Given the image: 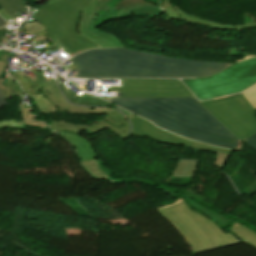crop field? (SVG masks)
<instances>
[{
  "label": "crop field",
  "mask_w": 256,
  "mask_h": 256,
  "mask_svg": "<svg viewBox=\"0 0 256 256\" xmlns=\"http://www.w3.org/2000/svg\"><path fill=\"white\" fill-rule=\"evenodd\" d=\"M80 71L79 78H189L218 72L230 63L183 60L133 49L86 51L69 59Z\"/></svg>",
  "instance_id": "1"
},
{
  "label": "crop field",
  "mask_w": 256,
  "mask_h": 256,
  "mask_svg": "<svg viewBox=\"0 0 256 256\" xmlns=\"http://www.w3.org/2000/svg\"><path fill=\"white\" fill-rule=\"evenodd\" d=\"M182 137L240 149L239 140L195 98H103Z\"/></svg>",
  "instance_id": "2"
},
{
  "label": "crop field",
  "mask_w": 256,
  "mask_h": 256,
  "mask_svg": "<svg viewBox=\"0 0 256 256\" xmlns=\"http://www.w3.org/2000/svg\"><path fill=\"white\" fill-rule=\"evenodd\" d=\"M109 0H49L33 20L47 30V39L74 56L86 49L124 47L113 35L100 32L94 22Z\"/></svg>",
  "instance_id": "3"
},
{
  "label": "crop field",
  "mask_w": 256,
  "mask_h": 256,
  "mask_svg": "<svg viewBox=\"0 0 256 256\" xmlns=\"http://www.w3.org/2000/svg\"><path fill=\"white\" fill-rule=\"evenodd\" d=\"M183 234L195 253L241 243L230 233L224 235L219 227L204 215L192 210L182 198L158 208Z\"/></svg>",
  "instance_id": "4"
},
{
  "label": "crop field",
  "mask_w": 256,
  "mask_h": 256,
  "mask_svg": "<svg viewBox=\"0 0 256 256\" xmlns=\"http://www.w3.org/2000/svg\"><path fill=\"white\" fill-rule=\"evenodd\" d=\"M182 81L200 100L242 92L256 83V57L209 77Z\"/></svg>",
  "instance_id": "5"
},
{
  "label": "crop field",
  "mask_w": 256,
  "mask_h": 256,
  "mask_svg": "<svg viewBox=\"0 0 256 256\" xmlns=\"http://www.w3.org/2000/svg\"><path fill=\"white\" fill-rule=\"evenodd\" d=\"M61 88L66 98L72 103L84 104V105H96V106L111 105L101 99H95L93 97L87 96L85 93L81 98H79L78 101L73 100L70 97L72 93L66 90L64 86H62ZM120 110L132 121L133 123L132 133L142 138L147 136L161 143H166L170 145H185L187 147L196 148L204 151L216 152L213 164L221 168H223L225 162L227 161V159L232 153V151L227 149L218 148V147L205 145V144H199V143H195V142L180 138L172 133H169L167 131H164L160 128L155 127L152 123L136 115L130 114L122 109Z\"/></svg>",
  "instance_id": "6"
},
{
  "label": "crop field",
  "mask_w": 256,
  "mask_h": 256,
  "mask_svg": "<svg viewBox=\"0 0 256 256\" xmlns=\"http://www.w3.org/2000/svg\"><path fill=\"white\" fill-rule=\"evenodd\" d=\"M200 103L239 140L256 133L255 110L241 93Z\"/></svg>",
  "instance_id": "7"
},
{
  "label": "crop field",
  "mask_w": 256,
  "mask_h": 256,
  "mask_svg": "<svg viewBox=\"0 0 256 256\" xmlns=\"http://www.w3.org/2000/svg\"><path fill=\"white\" fill-rule=\"evenodd\" d=\"M31 70L37 76L38 81L44 87L43 89H41L42 93L53 105H56L61 109L69 110V113L72 114H109L97 123L89 125L85 129V131L93 135L105 128H110L121 139L126 138L128 136L129 122L117 110L103 108H83L72 106L67 101H65L61 96L56 83H54L55 79H52L50 77L47 78L45 75L36 72L32 68Z\"/></svg>",
  "instance_id": "8"
},
{
  "label": "crop field",
  "mask_w": 256,
  "mask_h": 256,
  "mask_svg": "<svg viewBox=\"0 0 256 256\" xmlns=\"http://www.w3.org/2000/svg\"><path fill=\"white\" fill-rule=\"evenodd\" d=\"M114 181H121V182H139L144 183L150 186L157 187L161 190H164L165 193H168L174 197H183L187 203L191 206L192 209L204 214L208 218H210L214 223H216L218 226L225 224L227 221L232 222L229 226L230 233H232L234 236H236L238 239L243 241L244 243L256 248V233L252 230L245 228L243 225L232 221L231 219L227 218L226 216H223L222 213L212 207V205H209L205 203V200L199 196H196L194 194H191L189 192L173 189L170 187H167L165 185H160L158 183H154L151 181L146 180H140L136 178H129V179H112Z\"/></svg>",
  "instance_id": "9"
},
{
  "label": "crop field",
  "mask_w": 256,
  "mask_h": 256,
  "mask_svg": "<svg viewBox=\"0 0 256 256\" xmlns=\"http://www.w3.org/2000/svg\"><path fill=\"white\" fill-rule=\"evenodd\" d=\"M124 86L107 90L123 97H194L179 80L123 79Z\"/></svg>",
  "instance_id": "10"
},
{
  "label": "crop field",
  "mask_w": 256,
  "mask_h": 256,
  "mask_svg": "<svg viewBox=\"0 0 256 256\" xmlns=\"http://www.w3.org/2000/svg\"><path fill=\"white\" fill-rule=\"evenodd\" d=\"M0 89L4 94L6 100L13 96H20L23 92L20 90L16 82L11 80L8 75L6 79H0ZM21 104L18 107L19 114L24 118L23 121L15 120H4L0 121V129H17V130H27L28 127L42 129L47 125L36 119L33 116V108L24 109L22 99L20 97Z\"/></svg>",
  "instance_id": "11"
},
{
  "label": "crop field",
  "mask_w": 256,
  "mask_h": 256,
  "mask_svg": "<svg viewBox=\"0 0 256 256\" xmlns=\"http://www.w3.org/2000/svg\"><path fill=\"white\" fill-rule=\"evenodd\" d=\"M50 128L57 135H61L69 141L76 149L79 161L97 159V155L92 145L78 134L88 125L71 124L64 122L51 121Z\"/></svg>",
  "instance_id": "12"
},
{
  "label": "crop field",
  "mask_w": 256,
  "mask_h": 256,
  "mask_svg": "<svg viewBox=\"0 0 256 256\" xmlns=\"http://www.w3.org/2000/svg\"><path fill=\"white\" fill-rule=\"evenodd\" d=\"M11 76L21 84L25 93L33 99L40 112L46 114L54 112H67L65 110H61L53 106L45 98V96L39 90L40 88H42V86L37 81L36 77L32 78L31 76L25 75L23 72H15Z\"/></svg>",
  "instance_id": "13"
},
{
  "label": "crop field",
  "mask_w": 256,
  "mask_h": 256,
  "mask_svg": "<svg viewBox=\"0 0 256 256\" xmlns=\"http://www.w3.org/2000/svg\"><path fill=\"white\" fill-rule=\"evenodd\" d=\"M163 10L169 16V18L179 21L189 22L195 25L207 26L211 29L225 30V31H235V30H247L256 28V23H251L249 25H240V26H229L224 24L215 23L208 20L199 19L197 17L190 16L181 10L175 8L171 5L170 0H164L162 5Z\"/></svg>",
  "instance_id": "14"
},
{
  "label": "crop field",
  "mask_w": 256,
  "mask_h": 256,
  "mask_svg": "<svg viewBox=\"0 0 256 256\" xmlns=\"http://www.w3.org/2000/svg\"><path fill=\"white\" fill-rule=\"evenodd\" d=\"M114 9L122 10L115 18H120L128 14H146L158 16L163 13L160 7L149 4L144 0H122L114 7Z\"/></svg>",
  "instance_id": "15"
},
{
  "label": "crop field",
  "mask_w": 256,
  "mask_h": 256,
  "mask_svg": "<svg viewBox=\"0 0 256 256\" xmlns=\"http://www.w3.org/2000/svg\"><path fill=\"white\" fill-rule=\"evenodd\" d=\"M198 162L179 161L171 177H193Z\"/></svg>",
  "instance_id": "16"
},
{
  "label": "crop field",
  "mask_w": 256,
  "mask_h": 256,
  "mask_svg": "<svg viewBox=\"0 0 256 256\" xmlns=\"http://www.w3.org/2000/svg\"><path fill=\"white\" fill-rule=\"evenodd\" d=\"M0 5L11 17H13L16 12H27L24 0H0Z\"/></svg>",
  "instance_id": "17"
},
{
  "label": "crop field",
  "mask_w": 256,
  "mask_h": 256,
  "mask_svg": "<svg viewBox=\"0 0 256 256\" xmlns=\"http://www.w3.org/2000/svg\"><path fill=\"white\" fill-rule=\"evenodd\" d=\"M81 165L93 176L99 179H112L104 171H101V167L98 165L97 160L80 162Z\"/></svg>",
  "instance_id": "18"
},
{
  "label": "crop field",
  "mask_w": 256,
  "mask_h": 256,
  "mask_svg": "<svg viewBox=\"0 0 256 256\" xmlns=\"http://www.w3.org/2000/svg\"><path fill=\"white\" fill-rule=\"evenodd\" d=\"M256 110V85L242 93Z\"/></svg>",
  "instance_id": "19"
},
{
  "label": "crop field",
  "mask_w": 256,
  "mask_h": 256,
  "mask_svg": "<svg viewBox=\"0 0 256 256\" xmlns=\"http://www.w3.org/2000/svg\"><path fill=\"white\" fill-rule=\"evenodd\" d=\"M25 26H26V35H31V34L45 31L43 26L36 22L26 24Z\"/></svg>",
  "instance_id": "20"
},
{
  "label": "crop field",
  "mask_w": 256,
  "mask_h": 256,
  "mask_svg": "<svg viewBox=\"0 0 256 256\" xmlns=\"http://www.w3.org/2000/svg\"><path fill=\"white\" fill-rule=\"evenodd\" d=\"M245 141L248 145H250L254 150H256V134L252 135L251 137L243 140Z\"/></svg>",
  "instance_id": "21"
},
{
  "label": "crop field",
  "mask_w": 256,
  "mask_h": 256,
  "mask_svg": "<svg viewBox=\"0 0 256 256\" xmlns=\"http://www.w3.org/2000/svg\"><path fill=\"white\" fill-rule=\"evenodd\" d=\"M8 104L0 91V106Z\"/></svg>",
  "instance_id": "22"
},
{
  "label": "crop field",
  "mask_w": 256,
  "mask_h": 256,
  "mask_svg": "<svg viewBox=\"0 0 256 256\" xmlns=\"http://www.w3.org/2000/svg\"><path fill=\"white\" fill-rule=\"evenodd\" d=\"M7 67V63L0 62V74L3 72V70Z\"/></svg>",
  "instance_id": "23"
},
{
  "label": "crop field",
  "mask_w": 256,
  "mask_h": 256,
  "mask_svg": "<svg viewBox=\"0 0 256 256\" xmlns=\"http://www.w3.org/2000/svg\"><path fill=\"white\" fill-rule=\"evenodd\" d=\"M7 24L1 17H0V26Z\"/></svg>",
  "instance_id": "24"
},
{
  "label": "crop field",
  "mask_w": 256,
  "mask_h": 256,
  "mask_svg": "<svg viewBox=\"0 0 256 256\" xmlns=\"http://www.w3.org/2000/svg\"><path fill=\"white\" fill-rule=\"evenodd\" d=\"M7 68H9V67H7ZM6 70V69H5ZM4 70V71H5ZM5 74H7L6 72H3L2 74H1V76H0V78H5Z\"/></svg>",
  "instance_id": "25"
},
{
  "label": "crop field",
  "mask_w": 256,
  "mask_h": 256,
  "mask_svg": "<svg viewBox=\"0 0 256 256\" xmlns=\"http://www.w3.org/2000/svg\"><path fill=\"white\" fill-rule=\"evenodd\" d=\"M250 57H254V56H246V57L243 58L242 60H245V59L250 58ZM242 60H239V61H242ZM239 61H237V62H239Z\"/></svg>",
  "instance_id": "26"
},
{
  "label": "crop field",
  "mask_w": 256,
  "mask_h": 256,
  "mask_svg": "<svg viewBox=\"0 0 256 256\" xmlns=\"http://www.w3.org/2000/svg\"><path fill=\"white\" fill-rule=\"evenodd\" d=\"M5 26H7V25H5ZM5 26H3V27H5ZM2 28V27H1ZM1 30V29H0Z\"/></svg>",
  "instance_id": "27"
},
{
  "label": "crop field",
  "mask_w": 256,
  "mask_h": 256,
  "mask_svg": "<svg viewBox=\"0 0 256 256\" xmlns=\"http://www.w3.org/2000/svg\"><path fill=\"white\" fill-rule=\"evenodd\" d=\"M0 9H1V6H0Z\"/></svg>",
  "instance_id": "28"
}]
</instances>
